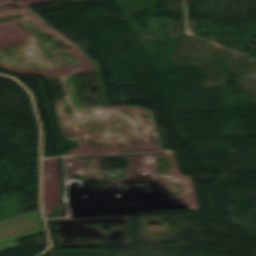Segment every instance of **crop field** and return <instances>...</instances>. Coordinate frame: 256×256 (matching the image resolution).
<instances>
[{
    "instance_id": "2",
    "label": "crop field",
    "mask_w": 256,
    "mask_h": 256,
    "mask_svg": "<svg viewBox=\"0 0 256 256\" xmlns=\"http://www.w3.org/2000/svg\"><path fill=\"white\" fill-rule=\"evenodd\" d=\"M18 246H20V244L17 241L11 242L8 244H4V245H0V251H4V250L11 249V248L18 247Z\"/></svg>"
},
{
    "instance_id": "1",
    "label": "crop field",
    "mask_w": 256,
    "mask_h": 256,
    "mask_svg": "<svg viewBox=\"0 0 256 256\" xmlns=\"http://www.w3.org/2000/svg\"><path fill=\"white\" fill-rule=\"evenodd\" d=\"M39 213H31L0 222V243L42 232Z\"/></svg>"
}]
</instances>
